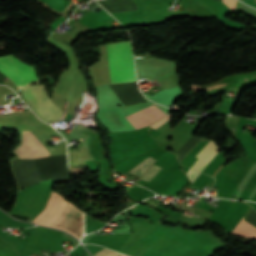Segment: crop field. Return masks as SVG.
Wrapping results in <instances>:
<instances>
[{
    "label": "crop field",
    "mask_w": 256,
    "mask_h": 256,
    "mask_svg": "<svg viewBox=\"0 0 256 256\" xmlns=\"http://www.w3.org/2000/svg\"><path fill=\"white\" fill-rule=\"evenodd\" d=\"M19 188L40 182L34 160H12Z\"/></svg>",
    "instance_id": "crop-field-5"
},
{
    "label": "crop field",
    "mask_w": 256,
    "mask_h": 256,
    "mask_svg": "<svg viewBox=\"0 0 256 256\" xmlns=\"http://www.w3.org/2000/svg\"><path fill=\"white\" fill-rule=\"evenodd\" d=\"M119 255H120V253L107 250L106 252L102 253L99 256H119Z\"/></svg>",
    "instance_id": "crop-field-15"
},
{
    "label": "crop field",
    "mask_w": 256,
    "mask_h": 256,
    "mask_svg": "<svg viewBox=\"0 0 256 256\" xmlns=\"http://www.w3.org/2000/svg\"><path fill=\"white\" fill-rule=\"evenodd\" d=\"M0 70L18 86L40 82L34 67L19 61L12 55L0 57Z\"/></svg>",
    "instance_id": "crop-field-4"
},
{
    "label": "crop field",
    "mask_w": 256,
    "mask_h": 256,
    "mask_svg": "<svg viewBox=\"0 0 256 256\" xmlns=\"http://www.w3.org/2000/svg\"><path fill=\"white\" fill-rule=\"evenodd\" d=\"M244 221L248 222L249 224L256 227V212L253 208L250 207L248 212L243 217ZM240 221L236 228L233 230L232 234L256 239V228L252 227L251 225Z\"/></svg>",
    "instance_id": "crop-field-8"
},
{
    "label": "crop field",
    "mask_w": 256,
    "mask_h": 256,
    "mask_svg": "<svg viewBox=\"0 0 256 256\" xmlns=\"http://www.w3.org/2000/svg\"><path fill=\"white\" fill-rule=\"evenodd\" d=\"M198 174H199V172H197V171H195V170H193V169H191V168H190V169L187 171V173H186L188 179H189L191 182L194 181L195 177H196Z\"/></svg>",
    "instance_id": "crop-field-13"
},
{
    "label": "crop field",
    "mask_w": 256,
    "mask_h": 256,
    "mask_svg": "<svg viewBox=\"0 0 256 256\" xmlns=\"http://www.w3.org/2000/svg\"><path fill=\"white\" fill-rule=\"evenodd\" d=\"M166 115L155 105H150L128 117L126 119L136 128H141L152 124Z\"/></svg>",
    "instance_id": "crop-field-7"
},
{
    "label": "crop field",
    "mask_w": 256,
    "mask_h": 256,
    "mask_svg": "<svg viewBox=\"0 0 256 256\" xmlns=\"http://www.w3.org/2000/svg\"><path fill=\"white\" fill-rule=\"evenodd\" d=\"M160 169V167L152 165L150 169L144 174L142 179L150 181L158 173Z\"/></svg>",
    "instance_id": "crop-field-12"
},
{
    "label": "crop field",
    "mask_w": 256,
    "mask_h": 256,
    "mask_svg": "<svg viewBox=\"0 0 256 256\" xmlns=\"http://www.w3.org/2000/svg\"><path fill=\"white\" fill-rule=\"evenodd\" d=\"M20 158H41L49 152L29 133H23L22 145L14 151Z\"/></svg>",
    "instance_id": "crop-field-6"
},
{
    "label": "crop field",
    "mask_w": 256,
    "mask_h": 256,
    "mask_svg": "<svg viewBox=\"0 0 256 256\" xmlns=\"http://www.w3.org/2000/svg\"><path fill=\"white\" fill-rule=\"evenodd\" d=\"M26 102L43 118L57 120L62 112L48 98L44 85L21 87Z\"/></svg>",
    "instance_id": "crop-field-3"
},
{
    "label": "crop field",
    "mask_w": 256,
    "mask_h": 256,
    "mask_svg": "<svg viewBox=\"0 0 256 256\" xmlns=\"http://www.w3.org/2000/svg\"><path fill=\"white\" fill-rule=\"evenodd\" d=\"M155 161V159L149 157L143 162H141L139 165H137L135 168H133L130 172L138 175L141 177V175L146 171V169Z\"/></svg>",
    "instance_id": "crop-field-11"
},
{
    "label": "crop field",
    "mask_w": 256,
    "mask_h": 256,
    "mask_svg": "<svg viewBox=\"0 0 256 256\" xmlns=\"http://www.w3.org/2000/svg\"><path fill=\"white\" fill-rule=\"evenodd\" d=\"M172 115H167L165 118H163L162 120L158 121L157 123H155L154 125H152L151 127L153 128H158L159 126H161L163 123H165L167 120L171 119Z\"/></svg>",
    "instance_id": "crop-field-14"
},
{
    "label": "crop field",
    "mask_w": 256,
    "mask_h": 256,
    "mask_svg": "<svg viewBox=\"0 0 256 256\" xmlns=\"http://www.w3.org/2000/svg\"><path fill=\"white\" fill-rule=\"evenodd\" d=\"M201 140V138L197 137H190V139L187 141V143L179 149L176 154L181 161L182 158Z\"/></svg>",
    "instance_id": "crop-field-10"
},
{
    "label": "crop field",
    "mask_w": 256,
    "mask_h": 256,
    "mask_svg": "<svg viewBox=\"0 0 256 256\" xmlns=\"http://www.w3.org/2000/svg\"><path fill=\"white\" fill-rule=\"evenodd\" d=\"M31 222L65 230L77 238L83 235V211L54 191L45 209Z\"/></svg>",
    "instance_id": "crop-field-1"
},
{
    "label": "crop field",
    "mask_w": 256,
    "mask_h": 256,
    "mask_svg": "<svg viewBox=\"0 0 256 256\" xmlns=\"http://www.w3.org/2000/svg\"><path fill=\"white\" fill-rule=\"evenodd\" d=\"M120 256H123V255H120Z\"/></svg>",
    "instance_id": "crop-field-16"
},
{
    "label": "crop field",
    "mask_w": 256,
    "mask_h": 256,
    "mask_svg": "<svg viewBox=\"0 0 256 256\" xmlns=\"http://www.w3.org/2000/svg\"><path fill=\"white\" fill-rule=\"evenodd\" d=\"M111 83L136 81L130 41L107 44Z\"/></svg>",
    "instance_id": "crop-field-2"
},
{
    "label": "crop field",
    "mask_w": 256,
    "mask_h": 256,
    "mask_svg": "<svg viewBox=\"0 0 256 256\" xmlns=\"http://www.w3.org/2000/svg\"><path fill=\"white\" fill-rule=\"evenodd\" d=\"M218 150V147L214 144L213 141L210 140L196 155V157H198L199 159L195 162L192 168L201 171L205 167V165L216 155ZM203 160H205V162Z\"/></svg>",
    "instance_id": "crop-field-9"
}]
</instances>
